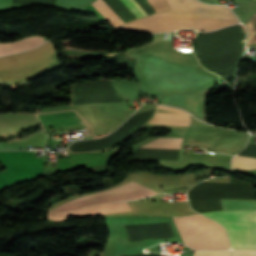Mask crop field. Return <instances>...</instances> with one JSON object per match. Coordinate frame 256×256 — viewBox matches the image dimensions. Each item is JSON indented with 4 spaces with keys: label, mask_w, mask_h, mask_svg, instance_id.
I'll return each instance as SVG.
<instances>
[{
    "label": "crop field",
    "mask_w": 256,
    "mask_h": 256,
    "mask_svg": "<svg viewBox=\"0 0 256 256\" xmlns=\"http://www.w3.org/2000/svg\"><path fill=\"white\" fill-rule=\"evenodd\" d=\"M166 1V0H165ZM168 11L134 20L116 29L143 32L173 31L195 28L201 31H212L235 24L233 16L226 8L202 4L196 0H167ZM166 2V3H167ZM238 23V21H237ZM114 29V28H113Z\"/></svg>",
    "instance_id": "8a807250"
},
{
    "label": "crop field",
    "mask_w": 256,
    "mask_h": 256,
    "mask_svg": "<svg viewBox=\"0 0 256 256\" xmlns=\"http://www.w3.org/2000/svg\"><path fill=\"white\" fill-rule=\"evenodd\" d=\"M44 41L45 38L35 35L19 41L0 43V55L32 48Z\"/></svg>",
    "instance_id": "5a996713"
},
{
    "label": "crop field",
    "mask_w": 256,
    "mask_h": 256,
    "mask_svg": "<svg viewBox=\"0 0 256 256\" xmlns=\"http://www.w3.org/2000/svg\"><path fill=\"white\" fill-rule=\"evenodd\" d=\"M203 215L226 229L232 248L256 249V210L217 211Z\"/></svg>",
    "instance_id": "34b2d1b8"
},
{
    "label": "crop field",
    "mask_w": 256,
    "mask_h": 256,
    "mask_svg": "<svg viewBox=\"0 0 256 256\" xmlns=\"http://www.w3.org/2000/svg\"><path fill=\"white\" fill-rule=\"evenodd\" d=\"M194 256H230V250L195 251Z\"/></svg>",
    "instance_id": "cbeb9de0"
},
{
    "label": "crop field",
    "mask_w": 256,
    "mask_h": 256,
    "mask_svg": "<svg viewBox=\"0 0 256 256\" xmlns=\"http://www.w3.org/2000/svg\"><path fill=\"white\" fill-rule=\"evenodd\" d=\"M232 168H240V169L256 168V159L236 156L232 161Z\"/></svg>",
    "instance_id": "d1516ede"
},
{
    "label": "crop field",
    "mask_w": 256,
    "mask_h": 256,
    "mask_svg": "<svg viewBox=\"0 0 256 256\" xmlns=\"http://www.w3.org/2000/svg\"><path fill=\"white\" fill-rule=\"evenodd\" d=\"M189 194H228L256 196V189L244 184L228 183H201L190 189ZM228 195H188L194 210L204 213L208 211L222 210L219 199H248L256 197L228 196Z\"/></svg>",
    "instance_id": "412701ff"
},
{
    "label": "crop field",
    "mask_w": 256,
    "mask_h": 256,
    "mask_svg": "<svg viewBox=\"0 0 256 256\" xmlns=\"http://www.w3.org/2000/svg\"><path fill=\"white\" fill-rule=\"evenodd\" d=\"M152 123H162V124H171V125H179V126H186L189 127L191 124V118L188 113L181 111L179 109L166 107L162 105L156 104L155 111L153 117L147 121ZM146 122V123H147ZM145 123V124H146ZM144 124V125H145ZM143 125V126H144ZM142 127V126H141ZM136 132V131H135ZM132 135V134H131ZM126 137L125 139H127ZM124 139V140H125ZM123 141V140H122ZM121 142V141H120ZM119 142V143H120ZM118 144V143H117ZM116 145V144H115ZM105 150V149H104ZM100 151V150H97ZM69 152V148H68ZM92 152V151H86ZM77 153V152H72Z\"/></svg>",
    "instance_id": "d8731c3e"
},
{
    "label": "crop field",
    "mask_w": 256,
    "mask_h": 256,
    "mask_svg": "<svg viewBox=\"0 0 256 256\" xmlns=\"http://www.w3.org/2000/svg\"><path fill=\"white\" fill-rule=\"evenodd\" d=\"M182 139H170V138H161L153 140L143 147L147 148H168V149H179Z\"/></svg>",
    "instance_id": "28ad6ade"
},
{
    "label": "crop field",
    "mask_w": 256,
    "mask_h": 256,
    "mask_svg": "<svg viewBox=\"0 0 256 256\" xmlns=\"http://www.w3.org/2000/svg\"><path fill=\"white\" fill-rule=\"evenodd\" d=\"M125 6L133 13L135 17L146 16L142 10L133 2V0H121ZM156 12L167 9L164 0H147ZM113 27L124 23L118 15L107 5L104 0H96L91 3Z\"/></svg>",
    "instance_id": "dd49c442"
},
{
    "label": "crop field",
    "mask_w": 256,
    "mask_h": 256,
    "mask_svg": "<svg viewBox=\"0 0 256 256\" xmlns=\"http://www.w3.org/2000/svg\"><path fill=\"white\" fill-rule=\"evenodd\" d=\"M223 210L256 209V201L220 200Z\"/></svg>",
    "instance_id": "3316defc"
},
{
    "label": "crop field",
    "mask_w": 256,
    "mask_h": 256,
    "mask_svg": "<svg viewBox=\"0 0 256 256\" xmlns=\"http://www.w3.org/2000/svg\"><path fill=\"white\" fill-rule=\"evenodd\" d=\"M246 26L248 28L247 41L256 42V12Z\"/></svg>",
    "instance_id": "22f410ed"
},
{
    "label": "crop field",
    "mask_w": 256,
    "mask_h": 256,
    "mask_svg": "<svg viewBox=\"0 0 256 256\" xmlns=\"http://www.w3.org/2000/svg\"><path fill=\"white\" fill-rule=\"evenodd\" d=\"M157 194L156 192L141 186L133 181H130L120 187H116L101 193L82 197L83 202L89 206L98 203L118 201V200H133ZM79 198H76L51 212H64L78 209L86 206Z\"/></svg>",
    "instance_id": "f4fd0767"
},
{
    "label": "crop field",
    "mask_w": 256,
    "mask_h": 256,
    "mask_svg": "<svg viewBox=\"0 0 256 256\" xmlns=\"http://www.w3.org/2000/svg\"><path fill=\"white\" fill-rule=\"evenodd\" d=\"M127 211H131L127 202H122V203L89 206L85 209L71 211V212H64L59 214L49 213L47 218L54 221H63L67 217L95 216L99 214L127 212Z\"/></svg>",
    "instance_id": "e52e79f7"
},
{
    "label": "crop field",
    "mask_w": 256,
    "mask_h": 256,
    "mask_svg": "<svg viewBox=\"0 0 256 256\" xmlns=\"http://www.w3.org/2000/svg\"><path fill=\"white\" fill-rule=\"evenodd\" d=\"M232 256H256V250H233Z\"/></svg>",
    "instance_id": "5142ce71"
},
{
    "label": "crop field",
    "mask_w": 256,
    "mask_h": 256,
    "mask_svg": "<svg viewBox=\"0 0 256 256\" xmlns=\"http://www.w3.org/2000/svg\"><path fill=\"white\" fill-rule=\"evenodd\" d=\"M185 245L192 249L229 248L224 229L217 223L194 214L172 217Z\"/></svg>",
    "instance_id": "ac0d7876"
}]
</instances>
